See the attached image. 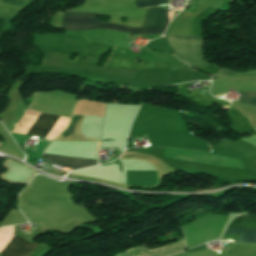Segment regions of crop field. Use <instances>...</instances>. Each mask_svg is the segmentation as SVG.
<instances>
[{"label": "crop field", "instance_id": "crop-field-4", "mask_svg": "<svg viewBox=\"0 0 256 256\" xmlns=\"http://www.w3.org/2000/svg\"><path fill=\"white\" fill-rule=\"evenodd\" d=\"M228 227L256 229V216L243 215V216L235 217L230 222ZM234 228H227L225 233L241 234L239 242L256 243V230L234 229Z\"/></svg>", "mask_w": 256, "mask_h": 256}, {"label": "crop field", "instance_id": "crop-field-7", "mask_svg": "<svg viewBox=\"0 0 256 256\" xmlns=\"http://www.w3.org/2000/svg\"><path fill=\"white\" fill-rule=\"evenodd\" d=\"M100 142H98V150ZM50 162H54L72 169L88 167L95 165V159H69V158H45Z\"/></svg>", "mask_w": 256, "mask_h": 256}, {"label": "crop field", "instance_id": "crop-field-3", "mask_svg": "<svg viewBox=\"0 0 256 256\" xmlns=\"http://www.w3.org/2000/svg\"><path fill=\"white\" fill-rule=\"evenodd\" d=\"M167 9L149 8L145 24L140 34H162L167 24L170 22V17ZM175 11L169 12L171 18Z\"/></svg>", "mask_w": 256, "mask_h": 256}, {"label": "crop field", "instance_id": "crop-field-1", "mask_svg": "<svg viewBox=\"0 0 256 256\" xmlns=\"http://www.w3.org/2000/svg\"><path fill=\"white\" fill-rule=\"evenodd\" d=\"M175 56L182 62L195 67H205L202 47L204 44L201 36L186 37L167 35Z\"/></svg>", "mask_w": 256, "mask_h": 256}, {"label": "crop field", "instance_id": "crop-field-8", "mask_svg": "<svg viewBox=\"0 0 256 256\" xmlns=\"http://www.w3.org/2000/svg\"><path fill=\"white\" fill-rule=\"evenodd\" d=\"M224 94L218 95L216 97L222 96ZM240 95H241L240 103L256 107V93H240Z\"/></svg>", "mask_w": 256, "mask_h": 256}, {"label": "crop field", "instance_id": "crop-field-10", "mask_svg": "<svg viewBox=\"0 0 256 256\" xmlns=\"http://www.w3.org/2000/svg\"><path fill=\"white\" fill-rule=\"evenodd\" d=\"M234 73H237V72H233V71H229V70L224 69L220 73L212 76V78H213V80H216V79H220V78L229 76V75L234 74Z\"/></svg>", "mask_w": 256, "mask_h": 256}, {"label": "crop field", "instance_id": "crop-field-13", "mask_svg": "<svg viewBox=\"0 0 256 256\" xmlns=\"http://www.w3.org/2000/svg\"><path fill=\"white\" fill-rule=\"evenodd\" d=\"M41 225V224H40Z\"/></svg>", "mask_w": 256, "mask_h": 256}, {"label": "crop field", "instance_id": "crop-field-9", "mask_svg": "<svg viewBox=\"0 0 256 256\" xmlns=\"http://www.w3.org/2000/svg\"><path fill=\"white\" fill-rule=\"evenodd\" d=\"M138 8L158 6L161 4L169 3L168 0H137L135 1Z\"/></svg>", "mask_w": 256, "mask_h": 256}, {"label": "crop field", "instance_id": "crop-field-2", "mask_svg": "<svg viewBox=\"0 0 256 256\" xmlns=\"http://www.w3.org/2000/svg\"><path fill=\"white\" fill-rule=\"evenodd\" d=\"M98 14L89 13H70L66 12L63 16L61 28L66 31H80L91 29H111L127 33L138 34L140 28H128L111 23H100L97 20Z\"/></svg>", "mask_w": 256, "mask_h": 256}, {"label": "crop field", "instance_id": "crop-field-6", "mask_svg": "<svg viewBox=\"0 0 256 256\" xmlns=\"http://www.w3.org/2000/svg\"><path fill=\"white\" fill-rule=\"evenodd\" d=\"M36 245L30 244L23 238L15 236L1 253L2 256H29Z\"/></svg>", "mask_w": 256, "mask_h": 256}, {"label": "crop field", "instance_id": "crop-field-12", "mask_svg": "<svg viewBox=\"0 0 256 256\" xmlns=\"http://www.w3.org/2000/svg\"><path fill=\"white\" fill-rule=\"evenodd\" d=\"M47 147H48V146H47ZM47 147H46V148H47ZM46 148H45V149H46Z\"/></svg>", "mask_w": 256, "mask_h": 256}, {"label": "crop field", "instance_id": "crop-field-5", "mask_svg": "<svg viewBox=\"0 0 256 256\" xmlns=\"http://www.w3.org/2000/svg\"><path fill=\"white\" fill-rule=\"evenodd\" d=\"M59 116L39 113L31 126L25 132L26 135H37L41 138L47 134Z\"/></svg>", "mask_w": 256, "mask_h": 256}, {"label": "crop field", "instance_id": "crop-field-11", "mask_svg": "<svg viewBox=\"0 0 256 256\" xmlns=\"http://www.w3.org/2000/svg\"><path fill=\"white\" fill-rule=\"evenodd\" d=\"M162 37H165L164 35Z\"/></svg>", "mask_w": 256, "mask_h": 256}]
</instances>
